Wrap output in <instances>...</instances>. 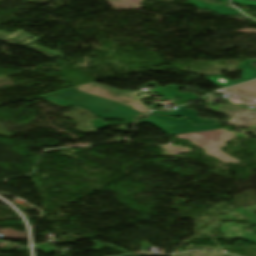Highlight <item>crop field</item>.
Returning a JSON list of instances; mask_svg holds the SVG:
<instances>
[{
    "label": "crop field",
    "mask_w": 256,
    "mask_h": 256,
    "mask_svg": "<svg viewBox=\"0 0 256 256\" xmlns=\"http://www.w3.org/2000/svg\"><path fill=\"white\" fill-rule=\"evenodd\" d=\"M40 98L60 105H75L89 110L99 118L122 119L125 120V123H134L144 115L114 101L99 98L74 88L43 95Z\"/></svg>",
    "instance_id": "8a807250"
},
{
    "label": "crop field",
    "mask_w": 256,
    "mask_h": 256,
    "mask_svg": "<svg viewBox=\"0 0 256 256\" xmlns=\"http://www.w3.org/2000/svg\"><path fill=\"white\" fill-rule=\"evenodd\" d=\"M231 132H227L225 130H213V131H205V132H197V133H189V134H181L177 135L178 138L187 139L189 141L193 140V144L205 149L206 154L217 157L222 162H233L238 163V160L226 155L225 153L220 151L222 146H225L226 140H231L236 136H231ZM221 142V144H220Z\"/></svg>",
    "instance_id": "ac0d7876"
},
{
    "label": "crop field",
    "mask_w": 256,
    "mask_h": 256,
    "mask_svg": "<svg viewBox=\"0 0 256 256\" xmlns=\"http://www.w3.org/2000/svg\"><path fill=\"white\" fill-rule=\"evenodd\" d=\"M79 90L85 91V92H89L95 95H99L111 100H114L116 102L122 103L124 105H132L131 108L143 112V113H147L149 112L150 108H148L147 106L143 105L140 101L141 98L146 97L149 98L151 96V94H143L141 96H136L138 95L140 92L142 91H123V90H119L113 87H109V86H105V85H101L98 84L96 82L93 83H89L86 85H82V86H78L75 87Z\"/></svg>",
    "instance_id": "34b2d1b8"
},
{
    "label": "crop field",
    "mask_w": 256,
    "mask_h": 256,
    "mask_svg": "<svg viewBox=\"0 0 256 256\" xmlns=\"http://www.w3.org/2000/svg\"><path fill=\"white\" fill-rule=\"evenodd\" d=\"M139 122L151 123L169 135L219 129L220 123L194 127L186 118L147 115Z\"/></svg>",
    "instance_id": "412701ff"
},
{
    "label": "crop field",
    "mask_w": 256,
    "mask_h": 256,
    "mask_svg": "<svg viewBox=\"0 0 256 256\" xmlns=\"http://www.w3.org/2000/svg\"><path fill=\"white\" fill-rule=\"evenodd\" d=\"M147 84H153L155 85L157 88L151 92L153 93H157L165 98H168V99H171L173 100L177 105H180V104H184L185 103V100L186 99H191V100H195L197 98H199V96L197 95H193V94H188V93H178V90L177 88L179 86H174V85H169L165 88H161V87H158L156 84H155V81H152V82H148ZM175 96H178L180 97L181 99L179 100H174L172 99L173 97Z\"/></svg>",
    "instance_id": "f4fd0767"
},
{
    "label": "crop field",
    "mask_w": 256,
    "mask_h": 256,
    "mask_svg": "<svg viewBox=\"0 0 256 256\" xmlns=\"http://www.w3.org/2000/svg\"><path fill=\"white\" fill-rule=\"evenodd\" d=\"M241 68L243 69V73H242V78L237 80V81H230L220 75H217V76H212V77H209L207 78L210 82L216 84V85H219V86H223V87H226V86H230V85H233V84H237V83H241V82H244V81H248V80H251V79H255L256 78V72H254L253 70L247 68L246 66L240 64Z\"/></svg>",
    "instance_id": "dd49c442"
},
{
    "label": "crop field",
    "mask_w": 256,
    "mask_h": 256,
    "mask_svg": "<svg viewBox=\"0 0 256 256\" xmlns=\"http://www.w3.org/2000/svg\"><path fill=\"white\" fill-rule=\"evenodd\" d=\"M248 226H242V225H238V224H227V226H223V224H221L220 226V232L224 233V231H226L227 233L224 237L227 238H231V239H236L237 235L240 234V232L242 233L241 236H243L244 239L252 241L254 243H256V228H255V233H250V232H245L243 229L246 228ZM232 228H241L240 231H238V233H236L234 230H232ZM240 236V237H241Z\"/></svg>",
    "instance_id": "e52e79f7"
},
{
    "label": "crop field",
    "mask_w": 256,
    "mask_h": 256,
    "mask_svg": "<svg viewBox=\"0 0 256 256\" xmlns=\"http://www.w3.org/2000/svg\"><path fill=\"white\" fill-rule=\"evenodd\" d=\"M186 106L187 105L178 107L179 110L174 111V112H166V111L165 112H152L150 114L170 115V116H187L195 125L218 122L217 120H212V119H207L208 121H202L201 119H205V118L195 117L194 115H196V112L194 110H186L185 108H183Z\"/></svg>",
    "instance_id": "d8731c3e"
},
{
    "label": "crop field",
    "mask_w": 256,
    "mask_h": 256,
    "mask_svg": "<svg viewBox=\"0 0 256 256\" xmlns=\"http://www.w3.org/2000/svg\"><path fill=\"white\" fill-rule=\"evenodd\" d=\"M187 3L195 5L200 9H207V10H212V11L218 12L222 15H236L237 14V11H235L225 5L214 6V5L206 4V3L199 2L196 0H188Z\"/></svg>",
    "instance_id": "5a996713"
},
{
    "label": "crop field",
    "mask_w": 256,
    "mask_h": 256,
    "mask_svg": "<svg viewBox=\"0 0 256 256\" xmlns=\"http://www.w3.org/2000/svg\"><path fill=\"white\" fill-rule=\"evenodd\" d=\"M230 106H232L234 109L245 115L250 120L256 122V107L254 109L246 108V106L253 105L256 106V98L254 100H247L241 105L234 106L230 103H228Z\"/></svg>",
    "instance_id": "3316defc"
},
{
    "label": "crop field",
    "mask_w": 256,
    "mask_h": 256,
    "mask_svg": "<svg viewBox=\"0 0 256 256\" xmlns=\"http://www.w3.org/2000/svg\"><path fill=\"white\" fill-rule=\"evenodd\" d=\"M225 90H231L234 92H238V93L256 97V80L247 82V83H244L241 85H237V86L225 89Z\"/></svg>",
    "instance_id": "28ad6ade"
},
{
    "label": "crop field",
    "mask_w": 256,
    "mask_h": 256,
    "mask_svg": "<svg viewBox=\"0 0 256 256\" xmlns=\"http://www.w3.org/2000/svg\"><path fill=\"white\" fill-rule=\"evenodd\" d=\"M240 214L244 215V216H247L249 217L250 219L247 220L248 222L252 223V224H256V216L251 214L250 212H248L247 210L241 208V209H238L237 210ZM232 215H227L225 217H222V218H229V219H233V220H238V219H235V218H230ZM242 221V220H241Z\"/></svg>",
    "instance_id": "d1516ede"
},
{
    "label": "crop field",
    "mask_w": 256,
    "mask_h": 256,
    "mask_svg": "<svg viewBox=\"0 0 256 256\" xmlns=\"http://www.w3.org/2000/svg\"><path fill=\"white\" fill-rule=\"evenodd\" d=\"M162 148L167 149L171 155L178 154V153H183V152H189L186 149L178 148V147H172V146H163Z\"/></svg>",
    "instance_id": "22f410ed"
},
{
    "label": "crop field",
    "mask_w": 256,
    "mask_h": 256,
    "mask_svg": "<svg viewBox=\"0 0 256 256\" xmlns=\"http://www.w3.org/2000/svg\"><path fill=\"white\" fill-rule=\"evenodd\" d=\"M91 123L94 125L93 127L101 129L104 128L105 126H107V123H103V121L101 119H95L93 121H91Z\"/></svg>",
    "instance_id": "cbeb9de0"
},
{
    "label": "crop field",
    "mask_w": 256,
    "mask_h": 256,
    "mask_svg": "<svg viewBox=\"0 0 256 256\" xmlns=\"http://www.w3.org/2000/svg\"><path fill=\"white\" fill-rule=\"evenodd\" d=\"M232 2L239 3V4H245V5L256 6V2H254V1H248V0H232Z\"/></svg>",
    "instance_id": "5142ce71"
},
{
    "label": "crop field",
    "mask_w": 256,
    "mask_h": 256,
    "mask_svg": "<svg viewBox=\"0 0 256 256\" xmlns=\"http://www.w3.org/2000/svg\"><path fill=\"white\" fill-rule=\"evenodd\" d=\"M252 61H256V60H248V61L243 62V63L256 70V68L250 63V62H252Z\"/></svg>",
    "instance_id": "d9b57169"
},
{
    "label": "crop field",
    "mask_w": 256,
    "mask_h": 256,
    "mask_svg": "<svg viewBox=\"0 0 256 256\" xmlns=\"http://www.w3.org/2000/svg\"><path fill=\"white\" fill-rule=\"evenodd\" d=\"M247 209H249V210H251V211H254V210H256V206L247 207Z\"/></svg>",
    "instance_id": "733c2abd"
},
{
    "label": "crop field",
    "mask_w": 256,
    "mask_h": 256,
    "mask_svg": "<svg viewBox=\"0 0 256 256\" xmlns=\"http://www.w3.org/2000/svg\"><path fill=\"white\" fill-rule=\"evenodd\" d=\"M220 1H224V2H226L227 0H220Z\"/></svg>",
    "instance_id": "4a817a6b"
}]
</instances>
